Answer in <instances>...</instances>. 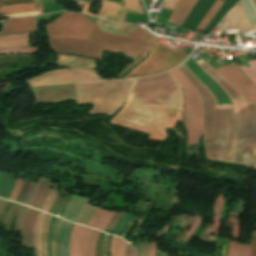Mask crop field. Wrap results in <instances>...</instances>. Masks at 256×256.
Masks as SVG:
<instances>
[{"mask_svg":"<svg viewBox=\"0 0 256 256\" xmlns=\"http://www.w3.org/2000/svg\"><path fill=\"white\" fill-rule=\"evenodd\" d=\"M122 24L98 19L87 41L48 37L51 48L66 53L102 60L103 50L114 53L136 54L146 57L155 46L149 41L154 37L147 31L139 38L118 33Z\"/></svg>","mask_w":256,"mask_h":256,"instance_id":"crop-field-1","label":"crop field"},{"mask_svg":"<svg viewBox=\"0 0 256 256\" xmlns=\"http://www.w3.org/2000/svg\"><path fill=\"white\" fill-rule=\"evenodd\" d=\"M177 68L198 92L203 103L207 159L230 163L235 147L233 106H217L214 96L183 63Z\"/></svg>","mask_w":256,"mask_h":256,"instance_id":"crop-field-2","label":"crop field"},{"mask_svg":"<svg viewBox=\"0 0 256 256\" xmlns=\"http://www.w3.org/2000/svg\"><path fill=\"white\" fill-rule=\"evenodd\" d=\"M200 66L225 90L235 105L237 145L232 164L251 166L256 152V106L227 81L214 72L206 62Z\"/></svg>","mask_w":256,"mask_h":256,"instance_id":"crop-field-3","label":"crop field"},{"mask_svg":"<svg viewBox=\"0 0 256 256\" xmlns=\"http://www.w3.org/2000/svg\"><path fill=\"white\" fill-rule=\"evenodd\" d=\"M133 94L129 95L122 110L111 123L149 134V139L163 140L164 127H175L182 122V108L132 105Z\"/></svg>","mask_w":256,"mask_h":256,"instance_id":"crop-field-4","label":"crop field"},{"mask_svg":"<svg viewBox=\"0 0 256 256\" xmlns=\"http://www.w3.org/2000/svg\"><path fill=\"white\" fill-rule=\"evenodd\" d=\"M131 93H134L133 104L182 107L181 88L170 71L138 78Z\"/></svg>","mask_w":256,"mask_h":256,"instance_id":"crop-field-5","label":"crop field"},{"mask_svg":"<svg viewBox=\"0 0 256 256\" xmlns=\"http://www.w3.org/2000/svg\"><path fill=\"white\" fill-rule=\"evenodd\" d=\"M133 80L77 84L78 104H94L90 113L112 115L123 103Z\"/></svg>","mask_w":256,"mask_h":256,"instance_id":"crop-field-6","label":"crop field"},{"mask_svg":"<svg viewBox=\"0 0 256 256\" xmlns=\"http://www.w3.org/2000/svg\"><path fill=\"white\" fill-rule=\"evenodd\" d=\"M184 90V123L187 128V145L199 143L202 133V103L181 72L170 70Z\"/></svg>","mask_w":256,"mask_h":256,"instance_id":"crop-field-7","label":"crop field"},{"mask_svg":"<svg viewBox=\"0 0 256 256\" xmlns=\"http://www.w3.org/2000/svg\"><path fill=\"white\" fill-rule=\"evenodd\" d=\"M160 39L154 37L150 42L155 48L147 59L125 77L146 76L171 69L180 64L186 53L178 52L169 46L158 42Z\"/></svg>","mask_w":256,"mask_h":256,"instance_id":"crop-field-8","label":"crop field"},{"mask_svg":"<svg viewBox=\"0 0 256 256\" xmlns=\"http://www.w3.org/2000/svg\"><path fill=\"white\" fill-rule=\"evenodd\" d=\"M94 22L81 14L63 12L61 18L46 25L48 36H61L87 40Z\"/></svg>","mask_w":256,"mask_h":256,"instance_id":"crop-field-9","label":"crop field"},{"mask_svg":"<svg viewBox=\"0 0 256 256\" xmlns=\"http://www.w3.org/2000/svg\"><path fill=\"white\" fill-rule=\"evenodd\" d=\"M95 1H105V0H95ZM92 3L93 1L85 3L82 8V11L84 13H87L99 18V15H94L89 13ZM125 11L144 14L143 9L139 4L138 0H122L120 4L107 1L100 14H101V17L104 19L123 22Z\"/></svg>","mask_w":256,"mask_h":256,"instance_id":"crop-field-10","label":"crop field"},{"mask_svg":"<svg viewBox=\"0 0 256 256\" xmlns=\"http://www.w3.org/2000/svg\"><path fill=\"white\" fill-rule=\"evenodd\" d=\"M215 71L232 84L244 96L247 102L256 101V88L249 79L236 68L234 63L215 69Z\"/></svg>","mask_w":256,"mask_h":256,"instance_id":"crop-field-11","label":"crop field"},{"mask_svg":"<svg viewBox=\"0 0 256 256\" xmlns=\"http://www.w3.org/2000/svg\"><path fill=\"white\" fill-rule=\"evenodd\" d=\"M91 81H100V80L81 77L67 70H54L51 72L44 73L34 79H31L27 81V83L30 85V87H33V86H39V85H62V84L82 83V82H91Z\"/></svg>","mask_w":256,"mask_h":256,"instance_id":"crop-field-12","label":"crop field"},{"mask_svg":"<svg viewBox=\"0 0 256 256\" xmlns=\"http://www.w3.org/2000/svg\"><path fill=\"white\" fill-rule=\"evenodd\" d=\"M32 90L37 102H57L76 99L74 84L63 86H43L32 88Z\"/></svg>","mask_w":256,"mask_h":256,"instance_id":"crop-field-13","label":"crop field"},{"mask_svg":"<svg viewBox=\"0 0 256 256\" xmlns=\"http://www.w3.org/2000/svg\"><path fill=\"white\" fill-rule=\"evenodd\" d=\"M184 64L195 74V76L211 91L215 96L218 105L232 104L222 88L214 82L194 61L189 57Z\"/></svg>","mask_w":256,"mask_h":256,"instance_id":"crop-field-14","label":"crop field"},{"mask_svg":"<svg viewBox=\"0 0 256 256\" xmlns=\"http://www.w3.org/2000/svg\"><path fill=\"white\" fill-rule=\"evenodd\" d=\"M73 223L60 220L55 235V256H69L68 242Z\"/></svg>","mask_w":256,"mask_h":256,"instance_id":"crop-field-15","label":"crop field"},{"mask_svg":"<svg viewBox=\"0 0 256 256\" xmlns=\"http://www.w3.org/2000/svg\"><path fill=\"white\" fill-rule=\"evenodd\" d=\"M38 210L27 208L21 223V239L22 245L31 246L33 245V236H34V228L35 221L38 215Z\"/></svg>","mask_w":256,"mask_h":256,"instance_id":"crop-field-16","label":"crop field"},{"mask_svg":"<svg viewBox=\"0 0 256 256\" xmlns=\"http://www.w3.org/2000/svg\"><path fill=\"white\" fill-rule=\"evenodd\" d=\"M226 26H219L220 30L241 27L242 30H256V24H250L244 11L239 5L225 16Z\"/></svg>","mask_w":256,"mask_h":256,"instance_id":"crop-field-17","label":"crop field"},{"mask_svg":"<svg viewBox=\"0 0 256 256\" xmlns=\"http://www.w3.org/2000/svg\"><path fill=\"white\" fill-rule=\"evenodd\" d=\"M36 31V17L12 19L4 25V34H15Z\"/></svg>","mask_w":256,"mask_h":256,"instance_id":"crop-field-18","label":"crop field"},{"mask_svg":"<svg viewBox=\"0 0 256 256\" xmlns=\"http://www.w3.org/2000/svg\"><path fill=\"white\" fill-rule=\"evenodd\" d=\"M52 181V180H51ZM51 181L40 176L38 185L35 189L29 206L41 209L51 187Z\"/></svg>","mask_w":256,"mask_h":256,"instance_id":"crop-field-19","label":"crop field"},{"mask_svg":"<svg viewBox=\"0 0 256 256\" xmlns=\"http://www.w3.org/2000/svg\"><path fill=\"white\" fill-rule=\"evenodd\" d=\"M55 64L74 68H95V61L73 56L57 55Z\"/></svg>","mask_w":256,"mask_h":256,"instance_id":"crop-field-20","label":"crop field"},{"mask_svg":"<svg viewBox=\"0 0 256 256\" xmlns=\"http://www.w3.org/2000/svg\"><path fill=\"white\" fill-rule=\"evenodd\" d=\"M197 1L198 0H179L170 18L168 19V22L181 25Z\"/></svg>","mask_w":256,"mask_h":256,"instance_id":"crop-field-21","label":"crop field"},{"mask_svg":"<svg viewBox=\"0 0 256 256\" xmlns=\"http://www.w3.org/2000/svg\"><path fill=\"white\" fill-rule=\"evenodd\" d=\"M85 230V227L74 225L69 242L70 256H81V245Z\"/></svg>","mask_w":256,"mask_h":256,"instance_id":"crop-field-22","label":"crop field"},{"mask_svg":"<svg viewBox=\"0 0 256 256\" xmlns=\"http://www.w3.org/2000/svg\"><path fill=\"white\" fill-rule=\"evenodd\" d=\"M29 33L0 36V49L28 46Z\"/></svg>","mask_w":256,"mask_h":256,"instance_id":"crop-field-23","label":"crop field"},{"mask_svg":"<svg viewBox=\"0 0 256 256\" xmlns=\"http://www.w3.org/2000/svg\"><path fill=\"white\" fill-rule=\"evenodd\" d=\"M85 200V197L73 195L65 212L63 211L62 218L74 222Z\"/></svg>","mask_w":256,"mask_h":256,"instance_id":"crop-field-24","label":"crop field"},{"mask_svg":"<svg viewBox=\"0 0 256 256\" xmlns=\"http://www.w3.org/2000/svg\"><path fill=\"white\" fill-rule=\"evenodd\" d=\"M42 10V3H32L26 5H16V6H7L0 8L1 13H10V12H21V11H35Z\"/></svg>","mask_w":256,"mask_h":256,"instance_id":"crop-field-25","label":"crop field"},{"mask_svg":"<svg viewBox=\"0 0 256 256\" xmlns=\"http://www.w3.org/2000/svg\"><path fill=\"white\" fill-rule=\"evenodd\" d=\"M45 215H46L45 213L40 211L36 221L35 239H34L36 256H42L41 255V231H42V222L45 218Z\"/></svg>","mask_w":256,"mask_h":256,"instance_id":"crop-field-26","label":"crop field"},{"mask_svg":"<svg viewBox=\"0 0 256 256\" xmlns=\"http://www.w3.org/2000/svg\"><path fill=\"white\" fill-rule=\"evenodd\" d=\"M249 250V247L230 241L228 256H248Z\"/></svg>","mask_w":256,"mask_h":256,"instance_id":"crop-field-27","label":"crop field"},{"mask_svg":"<svg viewBox=\"0 0 256 256\" xmlns=\"http://www.w3.org/2000/svg\"><path fill=\"white\" fill-rule=\"evenodd\" d=\"M125 244L126 242L114 236L111 248V256H124Z\"/></svg>","mask_w":256,"mask_h":256,"instance_id":"crop-field-28","label":"crop field"},{"mask_svg":"<svg viewBox=\"0 0 256 256\" xmlns=\"http://www.w3.org/2000/svg\"><path fill=\"white\" fill-rule=\"evenodd\" d=\"M37 53H38V47H25V48L0 50V55H8V54H37Z\"/></svg>","mask_w":256,"mask_h":256,"instance_id":"crop-field-29","label":"crop field"},{"mask_svg":"<svg viewBox=\"0 0 256 256\" xmlns=\"http://www.w3.org/2000/svg\"><path fill=\"white\" fill-rule=\"evenodd\" d=\"M241 5L251 23H256V10L251 0H242Z\"/></svg>","mask_w":256,"mask_h":256,"instance_id":"crop-field-30","label":"crop field"},{"mask_svg":"<svg viewBox=\"0 0 256 256\" xmlns=\"http://www.w3.org/2000/svg\"><path fill=\"white\" fill-rule=\"evenodd\" d=\"M222 3H223V1H221V0L216 1V3L213 5V7L210 9V11L205 16V18L202 20V22L196 28V30L203 31V29L206 27V25L208 24V22L213 17V15L218 10V8L221 6Z\"/></svg>","mask_w":256,"mask_h":256,"instance_id":"crop-field-31","label":"crop field"},{"mask_svg":"<svg viewBox=\"0 0 256 256\" xmlns=\"http://www.w3.org/2000/svg\"><path fill=\"white\" fill-rule=\"evenodd\" d=\"M146 30L129 24H123L120 33L139 38Z\"/></svg>","mask_w":256,"mask_h":256,"instance_id":"crop-field-32","label":"crop field"},{"mask_svg":"<svg viewBox=\"0 0 256 256\" xmlns=\"http://www.w3.org/2000/svg\"><path fill=\"white\" fill-rule=\"evenodd\" d=\"M52 219V216L46 215L44 224H43V233H42V254L43 256H47V231L48 225Z\"/></svg>","mask_w":256,"mask_h":256,"instance_id":"crop-field-33","label":"crop field"},{"mask_svg":"<svg viewBox=\"0 0 256 256\" xmlns=\"http://www.w3.org/2000/svg\"><path fill=\"white\" fill-rule=\"evenodd\" d=\"M113 214L114 212L104 210L102 216L100 217L98 223L95 226V229L103 231Z\"/></svg>","mask_w":256,"mask_h":256,"instance_id":"crop-field-34","label":"crop field"},{"mask_svg":"<svg viewBox=\"0 0 256 256\" xmlns=\"http://www.w3.org/2000/svg\"><path fill=\"white\" fill-rule=\"evenodd\" d=\"M60 185L61 184L53 183L52 191H51L48 199L46 200V202H45V204L42 208V211L48 212V210H49V208H50V206H51V204H52V202H53V200H54V198H55V196H56V194H57V192L60 188Z\"/></svg>","mask_w":256,"mask_h":256,"instance_id":"crop-field-35","label":"crop field"},{"mask_svg":"<svg viewBox=\"0 0 256 256\" xmlns=\"http://www.w3.org/2000/svg\"><path fill=\"white\" fill-rule=\"evenodd\" d=\"M124 215L125 213H115L114 216L111 218L110 222L108 223L105 231L114 233L118 223L120 222V220Z\"/></svg>","mask_w":256,"mask_h":256,"instance_id":"crop-field-36","label":"crop field"},{"mask_svg":"<svg viewBox=\"0 0 256 256\" xmlns=\"http://www.w3.org/2000/svg\"><path fill=\"white\" fill-rule=\"evenodd\" d=\"M92 229H88L84 235L83 239V246H82V256H88V246H89V241H90V236L92 233Z\"/></svg>","mask_w":256,"mask_h":256,"instance_id":"crop-field-37","label":"crop field"},{"mask_svg":"<svg viewBox=\"0 0 256 256\" xmlns=\"http://www.w3.org/2000/svg\"><path fill=\"white\" fill-rule=\"evenodd\" d=\"M99 231H93L90 247H89V256H95L96 242L99 236Z\"/></svg>","mask_w":256,"mask_h":256,"instance_id":"crop-field-38","label":"crop field"},{"mask_svg":"<svg viewBox=\"0 0 256 256\" xmlns=\"http://www.w3.org/2000/svg\"><path fill=\"white\" fill-rule=\"evenodd\" d=\"M238 66V65H237ZM244 74L256 85V70H251L247 68H242L238 66Z\"/></svg>","mask_w":256,"mask_h":256,"instance_id":"crop-field-39","label":"crop field"},{"mask_svg":"<svg viewBox=\"0 0 256 256\" xmlns=\"http://www.w3.org/2000/svg\"><path fill=\"white\" fill-rule=\"evenodd\" d=\"M22 180H23V178L17 177V181H16L14 189H13V191H12L10 197H9V200H13V201L15 200V198H16V196L18 194V191H19V189L21 187Z\"/></svg>","mask_w":256,"mask_h":256,"instance_id":"crop-field-40","label":"crop field"},{"mask_svg":"<svg viewBox=\"0 0 256 256\" xmlns=\"http://www.w3.org/2000/svg\"><path fill=\"white\" fill-rule=\"evenodd\" d=\"M70 70L75 71L83 76H89V77H94V78H98V76L96 75V73L92 70H82V69H72L70 68ZM99 79V78H98Z\"/></svg>","mask_w":256,"mask_h":256,"instance_id":"crop-field-41","label":"crop field"},{"mask_svg":"<svg viewBox=\"0 0 256 256\" xmlns=\"http://www.w3.org/2000/svg\"><path fill=\"white\" fill-rule=\"evenodd\" d=\"M103 212V209H99L97 208V210L95 211V213L93 214L91 220L88 223V226H91L94 228L99 216L101 215V213Z\"/></svg>","mask_w":256,"mask_h":256,"instance_id":"crop-field-42","label":"crop field"},{"mask_svg":"<svg viewBox=\"0 0 256 256\" xmlns=\"http://www.w3.org/2000/svg\"><path fill=\"white\" fill-rule=\"evenodd\" d=\"M40 14H43L42 11H38V12H28V13H18V14H8V15H1V16L18 17V16L40 15Z\"/></svg>","mask_w":256,"mask_h":256,"instance_id":"crop-field-43","label":"crop field"},{"mask_svg":"<svg viewBox=\"0 0 256 256\" xmlns=\"http://www.w3.org/2000/svg\"><path fill=\"white\" fill-rule=\"evenodd\" d=\"M249 256H256V232L254 234V238H253Z\"/></svg>","mask_w":256,"mask_h":256,"instance_id":"crop-field-44","label":"crop field"},{"mask_svg":"<svg viewBox=\"0 0 256 256\" xmlns=\"http://www.w3.org/2000/svg\"><path fill=\"white\" fill-rule=\"evenodd\" d=\"M177 1H178V0H169V1L166 3V5H165L164 8L173 10V8L175 7Z\"/></svg>","mask_w":256,"mask_h":256,"instance_id":"crop-field-45","label":"crop field"},{"mask_svg":"<svg viewBox=\"0 0 256 256\" xmlns=\"http://www.w3.org/2000/svg\"><path fill=\"white\" fill-rule=\"evenodd\" d=\"M155 247H156V243L151 242L149 252H148V256H155Z\"/></svg>","mask_w":256,"mask_h":256,"instance_id":"crop-field-46","label":"crop field"},{"mask_svg":"<svg viewBox=\"0 0 256 256\" xmlns=\"http://www.w3.org/2000/svg\"><path fill=\"white\" fill-rule=\"evenodd\" d=\"M134 250L127 244L126 245V251H125V256H133Z\"/></svg>","mask_w":256,"mask_h":256,"instance_id":"crop-field-47","label":"crop field"},{"mask_svg":"<svg viewBox=\"0 0 256 256\" xmlns=\"http://www.w3.org/2000/svg\"><path fill=\"white\" fill-rule=\"evenodd\" d=\"M248 65L250 68L256 69V60L249 61Z\"/></svg>","mask_w":256,"mask_h":256,"instance_id":"crop-field-48","label":"crop field"},{"mask_svg":"<svg viewBox=\"0 0 256 256\" xmlns=\"http://www.w3.org/2000/svg\"><path fill=\"white\" fill-rule=\"evenodd\" d=\"M104 236H105V234H103L102 240H101L100 256H102V245H103V241H104Z\"/></svg>","mask_w":256,"mask_h":256,"instance_id":"crop-field-49","label":"crop field"},{"mask_svg":"<svg viewBox=\"0 0 256 256\" xmlns=\"http://www.w3.org/2000/svg\"><path fill=\"white\" fill-rule=\"evenodd\" d=\"M252 2H253L254 6L256 8V0H252Z\"/></svg>","mask_w":256,"mask_h":256,"instance_id":"crop-field-50","label":"crop field"},{"mask_svg":"<svg viewBox=\"0 0 256 256\" xmlns=\"http://www.w3.org/2000/svg\"><path fill=\"white\" fill-rule=\"evenodd\" d=\"M253 169H255V170H256V161H255V164H254V166H253Z\"/></svg>","mask_w":256,"mask_h":256,"instance_id":"crop-field-51","label":"crop field"},{"mask_svg":"<svg viewBox=\"0 0 256 256\" xmlns=\"http://www.w3.org/2000/svg\"><path fill=\"white\" fill-rule=\"evenodd\" d=\"M134 256H137L136 252L134 253Z\"/></svg>","mask_w":256,"mask_h":256,"instance_id":"crop-field-52","label":"crop field"},{"mask_svg":"<svg viewBox=\"0 0 256 256\" xmlns=\"http://www.w3.org/2000/svg\"><path fill=\"white\" fill-rule=\"evenodd\" d=\"M167 256H169L168 253H167Z\"/></svg>","mask_w":256,"mask_h":256,"instance_id":"crop-field-53","label":"crop field"}]
</instances>
